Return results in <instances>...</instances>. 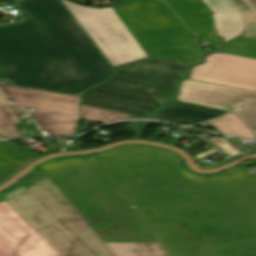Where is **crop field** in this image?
Returning <instances> with one entry per match:
<instances>
[{
    "label": "crop field",
    "instance_id": "crop-field-1",
    "mask_svg": "<svg viewBox=\"0 0 256 256\" xmlns=\"http://www.w3.org/2000/svg\"><path fill=\"white\" fill-rule=\"evenodd\" d=\"M96 155L170 256H256V179L194 175L148 145Z\"/></svg>",
    "mask_w": 256,
    "mask_h": 256
},
{
    "label": "crop field",
    "instance_id": "crop-field-2",
    "mask_svg": "<svg viewBox=\"0 0 256 256\" xmlns=\"http://www.w3.org/2000/svg\"><path fill=\"white\" fill-rule=\"evenodd\" d=\"M33 19L0 27V77L81 96L117 74L60 0L16 2Z\"/></svg>",
    "mask_w": 256,
    "mask_h": 256
},
{
    "label": "crop field",
    "instance_id": "crop-field-3",
    "mask_svg": "<svg viewBox=\"0 0 256 256\" xmlns=\"http://www.w3.org/2000/svg\"><path fill=\"white\" fill-rule=\"evenodd\" d=\"M40 168L116 256H167L97 157Z\"/></svg>",
    "mask_w": 256,
    "mask_h": 256
},
{
    "label": "crop field",
    "instance_id": "crop-field-4",
    "mask_svg": "<svg viewBox=\"0 0 256 256\" xmlns=\"http://www.w3.org/2000/svg\"><path fill=\"white\" fill-rule=\"evenodd\" d=\"M62 256H115L51 180L40 172L3 197Z\"/></svg>",
    "mask_w": 256,
    "mask_h": 256
},
{
    "label": "crop field",
    "instance_id": "crop-field-5",
    "mask_svg": "<svg viewBox=\"0 0 256 256\" xmlns=\"http://www.w3.org/2000/svg\"><path fill=\"white\" fill-rule=\"evenodd\" d=\"M188 65L153 57L119 67L118 75L85 93L81 104L121 113L146 116L161 107L162 100L173 98L177 82Z\"/></svg>",
    "mask_w": 256,
    "mask_h": 256
},
{
    "label": "crop field",
    "instance_id": "crop-field-6",
    "mask_svg": "<svg viewBox=\"0 0 256 256\" xmlns=\"http://www.w3.org/2000/svg\"><path fill=\"white\" fill-rule=\"evenodd\" d=\"M187 27L215 50L229 39L240 36L256 38V12L246 0H165ZM215 12V14H212Z\"/></svg>",
    "mask_w": 256,
    "mask_h": 256
},
{
    "label": "crop field",
    "instance_id": "crop-field-7",
    "mask_svg": "<svg viewBox=\"0 0 256 256\" xmlns=\"http://www.w3.org/2000/svg\"><path fill=\"white\" fill-rule=\"evenodd\" d=\"M63 2L113 66L147 57L112 7L97 9Z\"/></svg>",
    "mask_w": 256,
    "mask_h": 256
},
{
    "label": "crop field",
    "instance_id": "crop-field-8",
    "mask_svg": "<svg viewBox=\"0 0 256 256\" xmlns=\"http://www.w3.org/2000/svg\"><path fill=\"white\" fill-rule=\"evenodd\" d=\"M11 104L36 108L30 113L40 129L53 136L76 134L80 113L74 96L0 85Z\"/></svg>",
    "mask_w": 256,
    "mask_h": 256
},
{
    "label": "crop field",
    "instance_id": "crop-field-9",
    "mask_svg": "<svg viewBox=\"0 0 256 256\" xmlns=\"http://www.w3.org/2000/svg\"><path fill=\"white\" fill-rule=\"evenodd\" d=\"M0 256H61L0 197Z\"/></svg>",
    "mask_w": 256,
    "mask_h": 256
},
{
    "label": "crop field",
    "instance_id": "crop-field-10",
    "mask_svg": "<svg viewBox=\"0 0 256 256\" xmlns=\"http://www.w3.org/2000/svg\"><path fill=\"white\" fill-rule=\"evenodd\" d=\"M190 78L256 90V60L221 53L209 55L204 64L193 67Z\"/></svg>",
    "mask_w": 256,
    "mask_h": 256
},
{
    "label": "crop field",
    "instance_id": "crop-field-11",
    "mask_svg": "<svg viewBox=\"0 0 256 256\" xmlns=\"http://www.w3.org/2000/svg\"><path fill=\"white\" fill-rule=\"evenodd\" d=\"M181 101L232 111L256 100V91L187 79Z\"/></svg>",
    "mask_w": 256,
    "mask_h": 256
},
{
    "label": "crop field",
    "instance_id": "crop-field-12",
    "mask_svg": "<svg viewBox=\"0 0 256 256\" xmlns=\"http://www.w3.org/2000/svg\"><path fill=\"white\" fill-rule=\"evenodd\" d=\"M227 112L228 111L177 101L168 105L164 111L152 118L179 124H191L217 117Z\"/></svg>",
    "mask_w": 256,
    "mask_h": 256
},
{
    "label": "crop field",
    "instance_id": "crop-field-13",
    "mask_svg": "<svg viewBox=\"0 0 256 256\" xmlns=\"http://www.w3.org/2000/svg\"><path fill=\"white\" fill-rule=\"evenodd\" d=\"M24 151L19 150L15 145L0 141V183L15 170L23 167L22 163L34 158Z\"/></svg>",
    "mask_w": 256,
    "mask_h": 256
},
{
    "label": "crop field",
    "instance_id": "crop-field-14",
    "mask_svg": "<svg viewBox=\"0 0 256 256\" xmlns=\"http://www.w3.org/2000/svg\"><path fill=\"white\" fill-rule=\"evenodd\" d=\"M209 123L223 134L256 141V136L233 113Z\"/></svg>",
    "mask_w": 256,
    "mask_h": 256
},
{
    "label": "crop field",
    "instance_id": "crop-field-15",
    "mask_svg": "<svg viewBox=\"0 0 256 256\" xmlns=\"http://www.w3.org/2000/svg\"><path fill=\"white\" fill-rule=\"evenodd\" d=\"M19 122V119L0 93V135L5 138L21 137L13 125Z\"/></svg>",
    "mask_w": 256,
    "mask_h": 256
},
{
    "label": "crop field",
    "instance_id": "crop-field-16",
    "mask_svg": "<svg viewBox=\"0 0 256 256\" xmlns=\"http://www.w3.org/2000/svg\"><path fill=\"white\" fill-rule=\"evenodd\" d=\"M81 110H82V116H83L82 119L101 122V123H106V122H111V121H116V120L131 117V115L121 114L117 112L97 109V108L83 106V105H81Z\"/></svg>",
    "mask_w": 256,
    "mask_h": 256
},
{
    "label": "crop field",
    "instance_id": "crop-field-17",
    "mask_svg": "<svg viewBox=\"0 0 256 256\" xmlns=\"http://www.w3.org/2000/svg\"><path fill=\"white\" fill-rule=\"evenodd\" d=\"M234 114L247 126L256 127V105L252 104L241 110L234 112Z\"/></svg>",
    "mask_w": 256,
    "mask_h": 256
},
{
    "label": "crop field",
    "instance_id": "crop-field-18",
    "mask_svg": "<svg viewBox=\"0 0 256 256\" xmlns=\"http://www.w3.org/2000/svg\"><path fill=\"white\" fill-rule=\"evenodd\" d=\"M16 6L22 20L31 18L23 9H21L18 5Z\"/></svg>",
    "mask_w": 256,
    "mask_h": 256
},
{
    "label": "crop field",
    "instance_id": "crop-field-19",
    "mask_svg": "<svg viewBox=\"0 0 256 256\" xmlns=\"http://www.w3.org/2000/svg\"><path fill=\"white\" fill-rule=\"evenodd\" d=\"M79 101H80V98H79V97H77V98H75L74 100H72V102H76V103H79Z\"/></svg>",
    "mask_w": 256,
    "mask_h": 256
},
{
    "label": "crop field",
    "instance_id": "crop-field-20",
    "mask_svg": "<svg viewBox=\"0 0 256 256\" xmlns=\"http://www.w3.org/2000/svg\"><path fill=\"white\" fill-rule=\"evenodd\" d=\"M253 1V3L256 5V0H252Z\"/></svg>",
    "mask_w": 256,
    "mask_h": 256
},
{
    "label": "crop field",
    "instance_id": "crop-field-21",
    "mask_svg": "<svg viewBox=\"0 0 256 256\" xmlns=\"http://www.w3.org/2000/svg\"><path fill=\"white\" fill-rule=\"evenodd\" d=\"M126 23V22H125ZM129 27V26H128ZM131 30V29H130ZM136 37V36H135Z\"/></svg>",
    "mask_w": 256,
    "mask_h": 256
},
{
    "label": "crop field",
    "instance_id": "crop-field-22",
    "mask_svg": "<svg viewBox=\"0 0 256 256\" xmlns=\"http://www.w3.org/2000/svg\"><path fill=\"white\" fill-rule=\"evenodd\" d=\"M11 1H14V0H11Z\"/></svg>",
    "mask_w": 256,
    "mask_h": 256
},
{
    "label": "crop field",
    "instance_id": "crop-field-23",
    "mask_svg": "<svg viewBox=\"0 0 256 256\" xmlns=\"http://www.w3.org/2000/svg\"><path fill=\"white\" fill-rule=\"evenodd\" d=\"M0 138H2V137H0Z\"/></svg>",
    "mask_w": 256,
    "mask_h": 256
}]
</instances>
